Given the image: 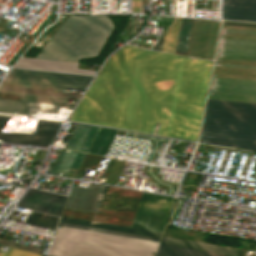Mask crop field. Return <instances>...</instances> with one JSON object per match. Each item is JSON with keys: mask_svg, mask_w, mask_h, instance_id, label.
<instances>
[{"mask_svg": "<svg viewBox=\"0 0 256 256\" xmlns=\"http://www.w3.org/2000/svg\"><path fill=\"white\" fill-rule=\"evenodd\" d=\"M158 242L88 232L57 229L49 255L52 256H154Z\"/></svg>", "mask_w": 256, "mask_h": 256, "instance_id": "obj_5", "label": "crop field"}, {"mask_svg": "<svg viewBox=\"0 0 256 256\" xmlns=\"http://www.w3.org/2000/svg\"><path fill=\"white\" fill-rule=\"evenodd\" d=\"M106 186L90 184L88 189L71 187L67 208L98 213Z\"/></svg>", "mask_w": 256, "mask_h": 256, "instance_id": "obj_8", "label": "crop field"}, {"mask_svg": "<svg viewBox=\"0 0 256 256\" xmlns=\"http://www.w3.org/2000/svg\"><path fill=\"white\" fill-rule=\"evenodd\" d=\"M60 222L101 228V229H108V230H114V231H120V232H127V233H133V234H139V235H145V236H151V237H157V238H160L162 234L159 232L126 228V227H120V226H114V225H108V224H102V223H96V222H90V221L66 218V217H62Z\"/></svg>", "mask_w": 256, "mask_h": 256, "instance_id": "obj_14", "label": "crop field"}, {"mask_svg": "<svg viewBox=\"0 0 256 256\" xmlns=\"http://www.w3.org/2000/svg\"><path fill=\"white\" fill-rule=\"evenodd\" d=\"M212 63L125 45L69 118L197 141Z\"/></svg>", "mask_w": 256, "mask_h": 256, "instance_id": "obj_1", "label": "crop field"}, {"mask_svg": "<svg viewBox=\"0 0 256 256\" xmlns=\"http://www.w3.org/2000/svg\"><path fill=\"white\" fill-rule=\"evenodd\" d=\"M229 22H230V21H229ZM229 22H223V23H228V24H240V25H253V24H254V23H253V24H241L242 22H241V23H229ZM253 26H256V25H253Z\"/></svg>", "mask_w": 256, "mask_h": 256, "instance_id": "obj_22", "label": "crop field"}, {"mask_svg": "<svg viewBox=\"0 0 256 256\" xmlns=\"http://www.w3.org/2000/svg\"><path fill=\"white\" fill-rule=\"evenodd\" d=\"M89 128V125L78 123L66 147L79 150ZM98 128L99 127L91 126L80 150L87 152Z\"/></svg>", "mask_w": 256, "mask_h": 256, "instance_id": "obj_13", "label": "crop field"}, {"mask_svg": "<svg viewBox=\"0 0 256 256\" xmlns=\"http://www.w3.org/2000/svg\"><path fill=\"white\" fill-rule=\"evenodd\" d=\"M10 249H11V248H9V250H8V252L6 253V255H5V256H7V255H8V253H9ZM0 256H2V255H0Z\"/></svg>", "mask_w": 256, "mask_h": 256, "instance_id": "obj_23", "label": "crop field"}, {"mask_svg": "<svg viewBox=\"0 0 256 256\" xmlns=\"http://www.w3.org/2000/svg\"><path fill=\"white\" fill-rule=\"evenodd\" d=\"M58 219L57 217L33 212L29 214L25 222L55 229Z\"/></svg>", "mask_w": 256, "mask_h": 256, "instance_id": "obj_19", "label": "crop field"}, {"mask_svg": "<svg viewBox=\"0 0 256 256\" xmlns=\"http://www.w3.org/2000/svg\"><path fill=\"white\" fill-rule=\"evenodd\" d=\"M173 197L142 193L131 227L162 232Z\"/></svg>", "mask_w": 256, "mask_h": 256, "instance_id": "obj_6", "label": "crop field"}, {"mask_svg": "<svg viewBox=\"0 0 256 256\" xmlns=\"http://www.w3.org/2000/svg\"><path fill=\"white\" fill-rule=\"evenodd\" d=\"M211 23H212V21L194 19L191 40H190V46H189L187 55L196 56V57H198V56L205 57L206 56V50H207L208 39H209V34H210V29H211ZM214 24H215V21H214ZM214 24H213V29H214ZM216 24H217V21H216ZM216 24H215V29H214V35H215V30H216ZM219 26H220V22L218 21L214 46H213L214 35H213V29H212L213 40H212V35H211L212 45H211V40H210V45H211V51H212V46H213V51H212V57H211V51H210V45H209V51H210V56H209V51H208L209 59H210V57H211V59H213V57H214ZM208 56H207V58H208Z\"/></svg>", "mask_w": 256, "mask_h": 256, "instance_id": "obj_9", "label": "crop field"}, {"mask_svg": "<svg viewBox=\"0 0 256 256\" xmlns=\"http://www.w3.org/2000/svg\"><path fill=\"white\" fill-rule=\"evenodd\" d=\"M19 61L20 62H17L15 66L79 72V73H89V74L96 73V71H92V70L77 69L78 63H74V62L41 60V59H33V58H26V57H21Z\"/></svg>", "mask_w": 256, "mask_h": 256, "instance_id": "obj_11", "label": "crop field"}, {"mask_svg": "<svg viewBox=\"0 0 256 256\" xmlns=\"http://www.w3.org/2000/svg\"><path fill=\"white\" fill-rule=\"evenodd\" d=\"M59 225L70 227V228L95 231V232H101V233H107V234H113V235H120V236L132 237V238H139V239H145V240H151V241H159L160 240L157 238H151V237H145V236H139V235H133V234H127V233H120V232H114V231H108V230H101V229H95V228H88V227H82V226H76V225H69V224H63V223H60Z\"/></svg>", "mask_w": 256, "mask_h": 256, "instance_id": "obj_20", "label": "crop field"}, {"mask_svg": "<svg viewBox=\"0 0 256 256\" xmlns=\"http://www.w3.org/2000/svg\"><path fill=\"white\" fill-rule=\"evenodd\" d=\"M112 29V21L104 15H70L36 58L77 62L80 58L96 56Z\"/></svg>", "mask_w": 256, "mask_h": 256, "instance_id": "obj_4", "label": "crop field"}, {"mask_svg": "<svg viewBox=\"0 0 256 256\" xmlns=\"http://www.w3.org/2000/svg\"><path fill=\"white\" fill-rule=\"evenodd\" d=\"M117 130L101 127L89 152L105 155Z\"/></svg>", "mask_w": 256, "mask_h": 256, "instance_id": "obj_16", "label": "crop field"}, {"mask_svg": "<svg viewBox=\"0 0 256 256\" xmlns=\"http://www.w3.org/2000/svg\"><path fill=\"white\" fill-rule=\"evenodd\" d=\"M199 142L256 151V104L208 100Z\"/></svg>", "mask_w": 256, "mask_h": 256, "instance_id": "obj_3", "label": "crop field"}, {"mask_svg": "<svg viewBox=\"0 0 256 256\" xmlns=\"http://www.w3.org/2000/svg\"><path fill=\"white\" fill-rule=\"evenodd\" d=\"M25 196V195H24ZM66 197L54 193L30 188L26 196L18 204L19 207L59 216Z\"/></svg>", "mask_w": 256, "mask_h": 256, "instance_id": "obj_7", "label": "crop field"}, {"mask_svg": "<svg viewBox=\"0 0 256 256\" xmlns=\"http://www.w3.org/2000/svg\"><path fill=\"white\" fill-rule=\"evenodd\" d=\"M9 256H42V255L26 253V252H22V251L12 249Z\"/></svg>", "mask_w": 256, "mask_h": 256, "instance_id": "obj_21", "label": "crop field"}, {"mask_svg": "<svg viewBox=\"0 0 256 256\" xmlns=\"http://www.w3.org/2000/svg\"><path fill=\"white\" fill-rule=\"evenodd\" d=\"M156 254L167 256H226L221 254L160 245Z\"/></svg>", "mask_w": 256, "mask_h": 256, "instance_id": "obj_18", "label": "crop field"}, {"mask_svg": "<svg viewBox=\"0 0 256 256\" xmlns=\"http://www.w3.org/2000/svg\"><path fill=\"white\" fill-rule=\"evenodd\" d=\"M33 78L35 79L33 81ZM91 76L49 73L41 71L12 69L3 82L48 86L71 90H84ZM1 92L41 95L50 97H60L78 100L81 94L55 92V89L23 86V85H0ZM41 96L22 95L21 101L0 99V112L32 115L34 109L59 112L64 99L49 98Z\"/></svg>", "mask_w": 256, "mask_h": 256, "instance_id": "obj_2", "label": "crop field"}, {"mask_svg": "<svg viewBox=\"0 0 256 256\" xmlns=\"http://www.w3.org/2000/svg\"><path fill=\"white\" fill-rule=\"evenodd\" d=\"M76 155L77 152L63 149L51 171V174L66 176ZM84 155L85 154L79 153L72 167L78 168Z\"/></svg>", "mask_w": 256, "mask_h": 256, "instance_id": "obj_15", "label": "crop field"}, {"mask_svg": "<svg viewBox=\"0 0 256 256\" xmlns=\"http://www.w3.org/2000/svg\"><path fill=\"white\" fill-rule=\"evenodd\" d=\"M223 19L256 22V0H224Z\"/></svg>", "mask_w": 256, "mask_h": 256, "instance_id": "obj_10", "label": "crop field"}, {"mask_svg": "<svg viewBox=\"0 0 256 256\" xmlns=\"http://www.w3.org/2000/svg\"><path fill=\"white\" fill-rule=\"evenodd\" d=\"M192 22L193 19L181 18L175 53L186 55Z\"/></svg>", "mask_w": 256, "mask_h": 256, "instance_id": "obj_17", "label": "crop field"}, {"mask_svg": "<svg viewBox=\"0 0 256 256\" xmlns=\"http://www.w3.org/2000/svg\"><path fill=\"white\" fill-rule=\"evenodd\" d=\"M160 244L197 249V250H203V251H209V252H215V253H221V254H227V255H233V256H240V252H241V250L239 249L202 244V243H196V242H190V241H184V240H178V239H172V238H166V237L162 238V241Z\"/></svg>", "mask_w": 256, "mask_h": 256, "instance_id": "obj_12", "label": "crop field"}, {"mask_svg": "<svg viewBox=\"0 0 256 256\" xmlns=\"http://www.w3.org/2000/svg\"><path fill=\"white\" fill-rule=\"evenodd\" d=\"M156 256H158V255H156Z\"/></svg>", "mask_w": 256, "mask_h": 256, "instance_id": "obj_25", "label": "crop field"}, {"mask_svg": "<svg viewBox=\"0 0 256 256\" xmlns=\"http://www.w3.org/2000/svg\"><path fill=\"white\" fill-rule=\"evenodd\" d=\"M43 256H45V255H43Z\"/></svg>", "mask_w": 256, "mask_h": 256, "instance_id": "obj_24", "label": "crop field"}]
</instances>
